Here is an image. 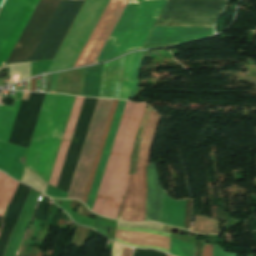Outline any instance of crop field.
I'll list each match as a JSON object with an SVG mask.
<instances>
[{
    "mask_svg": "<svg viewBox=\"0 0 256 256\" xmlns=\"http://www.w3.org/2000/svg\"><path fill=\"white\" fill-rule=\"evenodd\" d=\"M57 1H39L8 61L26 59ZM83 2L84 0H59L27 59L16 62L53 59Z\"/></svg>",
    "mask_w": 256,
    "mask_h": 256,
    "instance_id": "obj_1",
    "label": "crop field"
},
{
    "mask_svg": "<svg viewBox=\"0 0 256 256\" xmlns=\"http://www.w3.org/2000/svg\"><path fill=\"white\" fill-rule=\"evenodd\" d=\"M76 96L46 93L25 167L49 182Z\"/></svg>",
    "mask_w": 256,
    "mask_h": 256,
    "instance_id": "obj_2",
    "label": "crop field"
},
{
    "mask_svg": "<svg viewBox=\"0 0 256 256\" xmlns=\"http://www.w3.org/2000/svg\"><path fill=\"white\" fill-rule=\"evenodd\" d=\"M167 0H129L97 62L141 49Z\"/></svg>",
    "mask_w": 256,
    "mask_h": 256,
    "instance_id": "obj_3",
    "label": "crop field"
},
{
    "mask_svg": "<svg viewBox=\"0 0 256 256\" xmlns=\"http://www.w3.org/2000/svg\"><path fill=\"white\" fill-rule=\"evenodd\" d=\"M159 117L160 116L152 110L140 146L137 170L136 173L130 176L120 215L123 216L122 220L144 221L146 198L145 166L148 165L149 162L153 140L160 122Z\"/></svg>",
    "mask_w": 256,
    "mask_h": 256,
    "instance_id": "obj_4",
    "label": "crop field"
},
{
    "mask_svg": "<svg viewBox=\"0 0 256 256\" xmlns=\"http://www.w3.org/2000/svg\"><path fill=\"white\" fill-rule=\"evenodd\" d=\"M225 5L226 0H169L156 26L213 27Z\"/></svg>",
    "mask_w": 256,
    "mask_h": 256,
    "instance_id": "obj_5",
    "label": "crop field"
},
{
    "mask_svg": "<svg viewBox=\"0 0 256 256\" xmlns=\"http://www.w3.org/2000/svg\"><path fill=\"white\" fill-rule=\"evenodd\" d=\"M145 107V104H136L133 117L101 213L104 216L114 219L117 218L118 211L130 176L128 175V171L134 139L137 134L138 126L141 121Z\"/></svg>",
    "mask_w": 256,
    "mask_h": 256,
    "instance_id": "obj_6",
    "label": "crop field"
},
{
    "mask_svg": "<svg viewBox=\"0 0 256 256\" xmlns=\"http://www.w3.org/2000/svg\"><path fill=\"white\" fill-rule=\"evenodd\" d=\"M35 0H6L0 10V64L9 49L20 25L25 19L27 13L32 7ZM39 0H36L26 19L21 25L10 49L8 50L2 64L4 65L7 57L9 56L13 46L15 45L18 37L20 36L24 26L26 25L29 17L31 16L35 6Z\"/></svg>",
    "mask_w": 256,
    "mask_h": 256,
    "instance_id": "obj_7",
    "label": "crop field"
},
{
    "mask_svg": "<svg viewBox=\"0 0 256 256\" xmlns=\"http://www.w3.org/2000/svg\"><path fill=\"white\" fill-rule=\"evenodd\" d=\"M117 102H118V100H114L112 107H111V111H110V114H109V117H108V120L106 123V127L104 130L102 139H101V143H100V146H99L96 158H95V162H94L91 174H90V178H89L86 190H85V194H84V197L82 200L84 203H86L88 195H89V191H90L93 179H94V175H95V172H96V169H97V166L99 163V159H100V156H101L104 144H105V140H106L109 128H110V124H111V121H112V118H113V115L115 112ZM125 102L126 101L119 100L117 108H116V112H115V115H114V118H113V121L111 124V128H110L107 140H106V144H105V147H104L101 159H100V163H99L96 175H95V179H94L91 191H90V195H89V198H88V201L86 204L90 210L92 208V205H93L96 193H97V189H98V186H99V183H100V180H101V177H102V174H103V171H104L107 159H108V155H109V152H110V149H111V146H112L115 134H116V130H117V127H118V124H119V121H120V118H121V115L123 112Z\"/></svg>",
    "mask_w": 256,
    "mask_h": 256,
    "instance_id": "obj_8",
    "label": "crop field"
},
{
    "mask_svg": "<svg viewBox=\"0 0 256 256\" xmlns=\"http://www.w3.org/2000/svg\"><path fill=\"white\" fill-rule=\"evenodd\" d=\"M118 0H110L108 6L106 7L103 15L101 16L98 24L96 25L93 33L91 34L89 40L87 41L84 49L82 50L79 58L77 59L74 67L84 65L88 55L90 54L94 44L96 43L101 31L103 30L107 20L109 19L113 9L115 8ZM128 0H119L116 8L114 9L110 19L108 20L103 32L101 33L97 43L95 44L91 54L89 55L85 65L95 63L99 53L101 52L105 42L107 41L111 31L113 30L117 20L119 19L123 9L125 8Z\"/></svg>",
    "mask_w": 256,
    "mask_h": 256,
    "instance_id": "obj_9",
    "label": "crop field"
},
{
    "mask_svg": "<svg viewBox=\"0 0 256 256\" xmlns=\"http://www.w3.org/2000/svg\"><path fill=\"white\" fill-rule=\"evenodd\" d=\"M136 103H132V102H128L126 103L122 118H121V122L110 152V156L103 174V178L96 196V200L93 206L92 211L96 212V213H101L103 204H104V200L113 176V172L122 148V144L131 120V116L134 110Z\"/></svg>",
    "mask_w": 256,
    "mask_h": 256,
    "instance_id": "obj_10",
    "label": "crop field"
},
{
    "mask_svg": "<svg viewBox=\"0 0 256 256\" xmlns=\"http://www.w3.org/2000/svg\"><path fill=\"white\" fill-rule=\"evenodd\" d=\"M116 227L127 229V230H144V231L159 233V234H163V235L170 238L169 234L159 232V231H155V230H151L149 228H144V227L125 228V227L118 226V225ZM123 229L116 228V233H115L116 238H118L120 240H123L127 243L138 244V245H154V246H159L163 249L169 250L170 239L167 238V237H164V236L159 235V234L144 232V231H127V230H123ZM116 238L114 239L115 241L127 244V243H125L123 241H120ZM127 245L133 246V247H140V248H155V249H158V250L165 251V252L169 253V251L163 250L159 247L138 246V245H131V244H127Z\"/></svg>",
    "mask_w": 256,
    "mask_h": 256,
    "instance_id": "obj_11",
    "label": "crop field"
},
{
    "mask_svg": "<svg viewBox=\"0 0 256 256\" xmlns=\"http://www.w3.org/2000/svg\"><path fill=\"white\" fill-rule=\"evenodd\" d=\"M213 33V28L154 27L147 43H185Z\"/></svg>",
    "mask_w": 256,
    "mask_h": 256,
    "instance_id": "obj_12",
    "label": "crop field"
},
{
    "mask_svg": "<svg viewBox=\"0 0 256 256\" xmlns=\"http://www.w3.org/2000/svg\"><path fill=\"white\" fill-rule=\"evenodd\" d=\"M83 99L84 98H82V97L76 98V101H75V104H74V107L72 110V114L70 113L71 117H70L67 129H66V132H65V135L63 138V142H62V145H61V148H60V151H59V154H58L55 166H54V170H53L50 182H49V184H51L53 186H56V183L59 178L62 166L64 164L67 152L69 150V147H70V144L72 141V137L74 134V130L76 127V123H77L79 113L81 110V106L83 103Z\"/></svg>",
    "mask_w": 256,
    "mask_h": 256,
    "instance_id": "obj_13",
    "label": "crop field"
},
{
    "mask_svg": "<svg viewBox=\"0 0 256 256\" xmlns=\"http://www.w3.org/2000/svg\"><path fill=\"white\" fill-rule=\"evenodd\" d=\"M141 55H142V52L131 54V58H130V55H127L120 99H124V95H125L129 58H130V66H129L125 99L130 100L132 98H135Z\"/></svg>",
    "mask_w": 256,
    "mask_h": 256,
    "instance_id": "obj_14",
    "label": "crop field"
},
{
    "mask_svg": "<svg viewBox=\"0 0 256 256\" xmlns=\"http://www.w3.org/2000/svg\"><path fill=\"white\" fill-rule=\"evenodd\" d=\"M20 101L15 100L14 106H0V141L8 142Z\"/></svg>",
    "mask_w": 256,
    "mask_h": 256,
    "instance_id": "obj_15",
    "label": "crop field"
},
{
    "mask_svg": "<svg viewBox=\"0 0 256 256\" xmlns=\"http://www.w3.org/2000/svg\"><path fill=\"white\" fill-rule=\"evenodd\" d=\"M102 67L103 64L86 68L82 95L98 97Z\"/></svg>",
    "mask_w": 256,
    "mask_h": 256,
    "instance_id": "obj_16",
    "label": "crop field"
},
{
    "mask_svg": "<svg viewBox=\"0 0 256 256\" xmlns=\"http://www.w3.org/2000/svg\"><path fill=\"white\" fill-rule=\"evenodd\" d=\"M18 182L0 172V217L10 202Z\"/></svg>",
    "mask_w": 256,
    "mask_h": 256,
    "instance_id": "obj_17",
    "label": "crop field"
},
{
    "mask_svg": "<svg viewBox=\"0 0 256 256\" xmlns=\"http://www.w3.org/2000/svg\"><path fill=\"white\" fill-rule=\"evenodd\" d=\"M194 231L200 232V233L217 234L218 232L217 220H210V219L196 216Z\"/></svg>",
    "mask_w": 256,
    "mask_h": 256,
    "instance_id": "obj_18",
    "label": "crop field"
},
{
    "mask_svg": "<svg viewBox=\"0 0 256 256\" xmlns=\"http://www.w3.org/2000/svg\"><path fill=\"white\" fill-rule=\"evenodd\" d=\"M170 253L177 256H193L194 246L171 237Z\"/></svg>",
    "mask_w": 256,
    "mask_h": 256,
    "instance_id": "obj_19",
    "label": "crop field"
},
{
    "mask_svg": "<svg viewBox=\"0 0 256 256\" xmlns=\"http://www.w3.org/2000/svg\"><path fill=\"white\" fill-rule=\"evenodd\" d=\"M119 247H120V244L114 242L111 256H118ZM131 252H132V248L121 245L119 256H131Z\"/></svg>",
    "mask_w": 256,
    "mask_h": 256,
    "instance_id": "obj_20",
    "label": "crop field"
},
{
    "mask_svg": "<svg viewBox=\"0 0 256 256\" xmlns=\"http://www.w3.org/2000/svg\"><path fill=\"white\" fill-rule=\"evenodd\" d=\"M218 244L214 245L213 256H238V254H229L223 252L221 249L217 247Z\"/></svg>",
    "mask_w": 256,
    "mask_h": 256,
    "instance_id": "obj_21",
    "label": "crop field"
},
{
    "mask_svg": "<svg viewBox=\"0 0 256 256\" xmlns=\"http://www.w3.org/2000/svg\"><path fill=\"white\" fill-rule=\"evenodd\" d=\"M213 245H203L202 256H212Z\"/></svg>",
    "mask_w": 256,
    "mask_h": 256,
    "instance_id": "obj_22",
    "label": "crop field"
},
{
    "mask_svg": "<svg viewBox=\"0 0 256 256\" xmlns=\"http://www.w3.org/2000/svg\"><path fill=\"white\" fill-rule=\"evenodd\" d=\"M58 73L53 74L50 92H55Z\"/></svg>",
    "mask_w": 256,
    "mask_h": 256,
    "instance_id": "obj_23",
    "label": "crop field"
},
{
    "mask_svg": "<svg viewBox=\"0 0 256 256\" xmlns=\"http://www.w3.org/2000/svg\"><path fill=\"white\" fill-rule=\"evenodd\" d=\"M31 90L35 91V77L31 79Z\"/></svg>",
    "mask_w": 256,
    "mask_h": 256,
    "instance_id": "obj_24",
    "label": "crop field"
},
{
    "mask_svg": "<svg viewBox=\"0 0 256 256\" xmlns=\"http://www.w3.org/2000/svg\"><path fill=\"white\" fill-rule=\"evenodd\" d=\"M2 2V0H0V3Z\"/></svg>",
    "mask_w": 256,
    "mask_h": 256,
    "instance_id": "obj_25",
    "label": "crop field"
},
{
    "mask_svg": "<svg viewBox=\"0 0 256 256\" xmlns=\"http://www.w3.org/2000/svg\"><path fill=\"white\" fill-rule=\"evenodd\" d=\"M167 256H170V255H167Z\"/></svg>",
    "mask_w": 256,
    "mask_h": 256,
    "instance_id": "obj_26",
    "label": "crop field"
}]
</instances>
